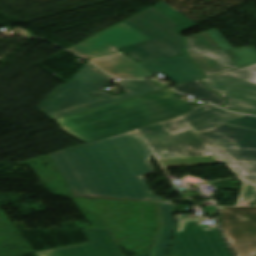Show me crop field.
Returning a JSON list of instances; mask_svg holds the SVG:
<instances>
[{
	"label": "crop field",
	"mask_w": 256,
	"mask_h": 256,
	"mask_svg": "<svg viewBox=\"0 0 256 256\" xmlns=\"http://www.w3.org/2000/svg\"><path fill=\"white\" fill-rule=\"evenodd\" d=\"M138 130L161 168L221 162L190 129L170 134L157 123Z\"/></svg>",
	"instance_id": "f4fd0767"
},
{
	"label": "crop field",
	"mask_w": 256,
	"mask_h": 256,
	"mask_svg": "<svg viewBox=\"0 0 256 256\" xmlns=\"http://www.w3.org/2000/svg\"><path fill=\"white\" fill-rule=\"evenodd\" d=\"M243 116L205 104L162 124L171 133L190 128L243 180L237 205L256 206V130L221 123Z\"/></svg>",
	"instance_id": "ac0d7876"
},
{
	"label": "crop field",
	"mask_w": 256,
	"mask_h": 256,
	"mask_svg": "<svg viewBox=\"0 0 256 256\" xmlns=\"http://www.w3.org/2000/svg\"><path fill=\"white\" fill-rule=\"evenodd\" d=\"M185 95L164 89L54 119L61 129L84 143L178 117L195 106Z\"/></svg>",
	"instance_id": "34b2d1b8"
},
{
	"label": "crop field",
	"mask_w": 256,
	"mask_h": 256,
	"mask_svg": "<svg viewBox=\"0 0 256 256\" xmlns=\"http://www.w3.org/2000/svg\"><path fill=\"white\" fill-rule=\"evenodd\" d=\"M152 74L161 72L176 84H184L202 78L187 56L140 63Z\"/></svg>",
	"instance_id": "d1516ede"
},
{
	"label": "crop field",
	"mask_w": 256,
	"mask_h": 256,
	"mask_svg": "<svg viewBox=\"0 0 256 256\" xmlns=\"http://www.w3.org/2000/svg\"><path fill=\"white\" fill-rule=\"evenodd\" d=\"M168 256H231L218 229H206L199 218L177 220Z\"/></svg>",
	"instance_id": "e52e79f7"
},
{
	"label": "crop field",
	"mask_w": 256,
	"mask_h": 256,
	"mask_svg": "<svg viewBox=\"0 0 256 256\" xmlns=\"http://www.w3.org/2000/svg\"><path fill=\"white\" fill-rule=\"evenodd\" d=\"M224 123L256 129V117H253V116H246L243 118L227 121Z\"/></svg>",
	"instance_id": "92a150f3"
},
{
	"label": "crop field",
	"mask_w": 256,
	"mask_h": 256,
	"mask_svg": "<svg viewBox=\"0 0 256 256\" xmlns=\"http://www.w3.org/2000/svg\"><path fill=\"white\" fill-rule=\"evenodd\" d=\"M155 7H157L159 10L167 14L169 17H171L174 21H176L179 24L178 27L176 28L179 34L197 25L162 1L155 4Z\"/></svg>",
	"instance_id": "bc2a9ffb"
},
{
	"label": "crop field",
	"mask_w": 256,
	"mask_h": 256,
	"mask_svg": "<svg viewBox=\"0 0 256 256\" xmlns=\"http://www.w3.org/2000/svg\"><path fill=\"white\" fill-rule=\"evenodd\" d=\"M218 222L235 256H256V207H222Z\"/></svg>",
	"instance_id": "d8731c3e"
},
{
	"label": "crop field",
	"mask_w": 256,
	"mask_h": 256,
	"mask_svg": "<svg viewBox=\"0 0 256 256\" xmlns=\"http://www.w3.org/2000/svg\"><path fill=\"white\" fill-rule=\"evenodd\" d=\"M113 79L87 62L68 83L55 89L38 108L54 119L160 90L149 80H135L117 83L126 92L124 94L113 96L104 93V87Z\"/></svg>",
	"instance_id": "412701ff"
},
{
	"label": "crop field",
	"mask_w": 256,
	"mask_h": 256,
	"mask_svg": "<svg viewBox=\"0 0 256 256\" xmlns=\"http://www.w3.org/2000/svg\"><path fill=\"white\" fill-rule=\"evenodd\" d=\"M211 102H212L213 104L217 105V106H220V105L226 103V101H225L224 99H222V98L216 99V100L211 101Z\"/></svg>",
	"instance_id": "dafd665d"
},
{
	"label": "crop field",
	"mask_w": 256,
	"mask_h": 256,
	"mask_svg": "<svg viewBox=\"0 0 256 256\" xmlns=\"http://www.w3.org/2000/svg\"><path fill=\"white\" fill-rule=\"evenodd\" d=\"M248 68L256 74V65L248 66ZM228 100L225 108L256 114V80L246 84L245 86L223 96Z\"/></svg>",
	"instance_id": "5142ce71"
},
{
	"label": "crop field",
	"mask_w": 256,
	"mask_h": 256,
	"mask_svg": "<svg viewBox=\"0 0 256 256\" xmlns=\"http://www.w3.org/2000/svg\"><path fill=\"white\" fill-rule=\"evenodd\" d=\"M89 61L96 64L108 74L122 79H142L152 76L139 63L120 52L89 59Z\"/></svg>",
	"instance_id": "22f410ed"
},
{
	"label": "crop field",
	"mask_w": 256,
	"mask_h": 256,
	"mask_svg": "<svg viewBox=\"0 0 256 256\" xmlns=\"http://www.w3.org/2000/svg\"><path fill=\"white\" fill-rule=\"evenodd\" d=\"M90 243L38 252V256H122L108 229L84 230Z\"/></svg>",
	"instance_id": "28ad6ade"
},
{
	"label": "crop field",
	"mask_w": 256,
	"mask_h": 256,
	"mask_svg": "<svg viewBox=\"0 0 256 256\" xmlns=\"http://www.w3.org/2000/svg\"><path fill=\"white\" fill-rule=\"evenodd\" d=\"M74 196L163 200L144 175L153 156L137 129L49 154Z\"/></svg>",
	"instance_id": "8a807250"
},
{
	"label": "crop field",
	"mask_w": 256,
	"mask_h": 256,
	"mask_svg": "<svg viewBox=\"0 0 256 256\" xmlns=\"http://www.w3.org/2000/svg\"><path fill=\"white\" fill-rule=\"evenodd\" d=\"M143 40L147 38L122 22L69 50L88 59Z\"/></svg>",
	"instance_id": "5a996713"
},
{
	"label": "crop field",
	"mask_w": 256,
	"mask_h": 256,
	"mask_svg": "<svg viewBox=\"0 0 256 256\" xmlns=\"http://www.w3.org/2000/svg\"><path fill=\"white\" fill-rule=\"evenodd\" d=\"M188 54L231 48L217 28L185 37Z\"/></svg>",
	"instance_id": "d9b57169"
},
{
	"label": "crop field",
	"mask_w": 256,
	"mask_h": 256,
	"mask_svg": "<svg viewBox=\"0 0 256 256\" xmlns=\"http://www.w3.org/2000/svg\"><path fill=\"white\" fill-rule=\"evenodd\" d=\"M166 207H167V213H168L169 228H168V232H167V236H166V240H165V243L163 246L161 256H165L167 246H168V243H169V240H170V237L172 234L173 226H174L172 206H171V204H166Z\"/></svg>",
	"instance_id": "214f88e0"
},
{
	"label": "crop field",
	"mask_w": 256,
	"mask_h": 256,
	"mask_svg": "<svg viewBox=\"0 0 256 256\" xmlns=\"http://www.w3.org/2000/svg\"><path fill=\"white\" fill-rule=\"evenodd\" d=\"M173 88L178 92L200 97L208 101L219 98V96L206 89L200 80Z\"/></svg>",
	"instance_id": "4a817a6b"
},
{
	"label": "crop field",
	"mask_w": 256,
	"mask_h": 256,
	"mask_svg": "<svg viewBox=\"0 0 256 256\" xmlns=\"http://www.w3.org/2000/svg\"><path fill=\"white\" fill-rule=\"evenodd\" d=\"M154 210L157 220L158 229L153 237L152 247L149 256H160L161 249L165 240L168 220L166 214V207L164 203L153 202Z\"/></svg>",
	"instance_id": "733c2abd"
},
{
	"label": "crop field",
	"mask_w": 256,
	"mask_h": 256,
	"mask_svg": "<svg viewBox=\"0 0 256 256\" xmlns=\"http://www.w3.org/2000/svg\"><path fill=\"white\" fill-rule=\"evenodd\" d=\"M256 79L247 67L202 79L207 87L221 96Z\"/></svg>",
	"instance_id": "cbeb9de0"
},
{
	"label": "crop field",
	"mask_w": 256,
	"mask_h": 256,
	"mask_svg": "<svg viewBox=\"0 0 256 256\" xmlns=\"http://www.w3.org/2000/svg\"><path fill=\"white\" fill-rule=\"evenodd\" d=\"M163 15L152 8L124 21L150 40L118 49L137 61L184 55V43L173 30L176 24Z\"/></svg>",
	"instance_id": "dd49c442"
},
{
	"label": "crop field",
	"mask_w": 256,
	"mask_h": 256,
	"mask_svg": "<svg viewBox=\"0 0 256 256\" xmlns=\"http://www.w3.org/2000/svg\"><path fill=\"white\" fill-rule=\"evenodd\" d=\"M206 77L256 63L254 46L189 55Z\"/></svg>",
	"instance_id": "3316defc"
}]
</instances>
